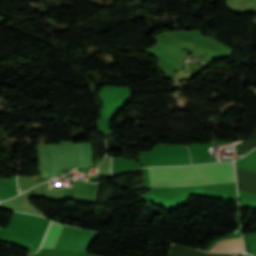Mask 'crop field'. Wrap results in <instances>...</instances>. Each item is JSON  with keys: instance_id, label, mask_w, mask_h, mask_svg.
I'll return each instance as SVG.
<instances>
[{"instance_id": "8a807250", "label": "crop field", "mask_w": 256, "mask_h": 256, "mask_svg": "<svg viewBox=\"0 0 256 256\" xmlns=\"http://www.w3.org/2000/svg\"><path fill=\"white\" fill-rule=\"evenodd\" d=\"M154 187L191 186L235 182L232 162L148 168ZM151 186V187H152Z\"/></svg>"}, {"instance_id": "ac0d7876", "label": "crop field", "mask_w": 256, "mask_h": 256, "mask_svg": "<svg viewBox=\"0 0 256 256\" xmlns=\"http://www.w3.org/2000/svg\"><path fill=\"white\" fill-rule=\"evenodd\" d=\"M152 37L156 41L152 47H149L152 51L176 67L183 63L187 55L182 53L181 50L186 46L175 41L166 32H160Z\"/></svg>"}, {"instance_id": "34b2d1b8", "label": "crop field", "mask_w": 256, "mask_h": 256, "mask_svg": "<svg viewBox=\"0 0 256 256\" xmlns=\"http://www.w3.org/2000/svg\"><path fill=\"white\" fill-rule=\"evenodd\" d=\"M218 41V40H217ZM213 38L202 36L194 51L205 53L219 58L231 57L233 50L217 42Z\"/></svg>"}, {"instance_id": "412701ff", "label": "crop field", "mask_w": 256, "mask_h": 256, "mask_svg": "<svg viewBox=\"0 0 256 256\" xmlns=\"http://www.w3.org/2000/svg\"><path fill=\"white\" fill-rule=\"evenodd\" d=\"M210 251H243L241 238L222 240L216 243Z\"/></svg>"}, {"instance_id": "f4fd0767", "label": "crop field", "mask_w": 256, "mask_h": 256, "mask_svg": "<svg viewBox=\"0 0 256 256\" xmlns=\"http://www.w3.org/2000/svg\"><path fill=\"white\" fill-rule=\"evenodd\" d=\"M62 227V225L52 222L40 248H53Z\"/></svg>"}, {"instance_id": "dd49c442", "label": "crop field", "mask_w": 256, "mask_h": 256, "mask_svg": "<svg viewBox=\"0 0 256 256\" xmlns=\"http://www.w3.org/2000/svg\"><path fill=\"white\" fill-rule=\"evenodd\" d=\"M169 34L192 49L196 44V42L198 41V39L200 38V36L198 35H192V34H186V33H180V32H169Z\"/></svg>"}, {"instance_id": "e52e79f7", "label": "crop field", "mask_w": 256, "mask_h": 256, "mask_svg": "<svg viewBox=\"0 0 256 256\" xmlns=\"http://www.w3.org/2000/svg\"><path fill=\"white\" fill-rule=\"evenodd\" d=\"M42 176L50 178L51 177V170H43Z\"/></svg>"}]
</instances>
